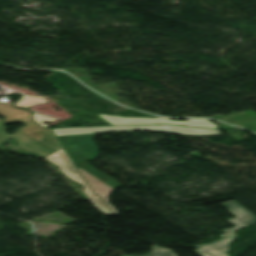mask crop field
<instances>
[{
  "label": "crop field",
  "instance_id": "8a807250",
  "mask_svg": "<svg viewBox=\"0 0 256 256\" xmlns=\"http://www.w3.org/2000/svg\"><path fill=\"white\" fill-rule=\"evenodd\" d=\"M130 130L170 131L163 125L52 129L76 167L80 166L114 189L121 185L83 160H94L97 155V146L92 141L96 133Z\"/></svg>",
  "mask_w": 256,
  "mask_h": 256
},
{
  "label": "crop field",
  "instance_id": "ac0d7876",
  "mask_svg": "<svg viewBox=\"0 0 256 256\" xmlns=\"http://www.w3.org/2000/svg\"><path fill=\"white\" fill-rule=\"evenodd\" d=\"M45 158L47 161L58 166V170L62 172L67 178L81 184L84 187L82 192L88 197L89 200L98 198L96 195H92V192L87 187V185L85 184L71 161L68 159L62 148L53 152Z\"/></svg>",
  "mask_w": 256,
  "mask_h": 256
},
{
  "label": "crop field",
  "instance_id": "34b2d1b8",
  "mask_svg": "<svg viewBox=\"0 0 256 256\" xmlns=\"http://www.w3.org/2000/svg\"><path fill=\"white\" fill-rule=\"evenodd\" d=\"M5 124H7L5 121H0V143L6 138L12 137L15 141H17L18 147L25 152H33L42 157H45L49 153L53 152L19 131L15 132L14 134L6 133L4 131V129H6L4 126Z\"/></svg>",
  "mask_w": 256,
  "mask_h": 256
},
{
  "label": "crop field",
  "instance_id": "412701ff",
  "mask_svg": "<svg viewBox=\"0 0 256 256\" xmlns=\"http://www.w3.org/2000/svg\"><path fill=\"white\" fill-rule=\"evenodd\" d=\"M222 206L226 207L231 213H233L237 218L229 219L227 221L235 224V227L226 228L222 230L225 234L233 232L236 229L244 228L247 226L255 225L256 224V217L242 208L234 201L225 202ZM244 218V219H242Z\"/></svg>",
  "mask_w": 256,
  "mask_h": 256
},
{
  "label": "crop field",
  "instance_id": "f4fd0767",
  "mask_svg": "<svg viewBox=\"0 0 256 256\" xmlns=\"http://www.w3.org/2000/svg\"><path fill=\"white\" fill-rule=\"evenodd\" d=\"M24 124V127L18 128L17 130L32 137L33 139L37 140L38 142L42 143L53 151L61 148L56 139L49 131V129H41V127L37 126L32 122H27Z\"/></svg>",
  "mask_w": 256,
  "mask_h": 256
},
{
  "label": "crop field",
  "instance_id": "dd49c442",
  "mask_svg": "<svg viewBox=\"0 0 256 256\" xmlns=\"http://www.w3.org/2000/svg\"><path fill=\"white\" fill-rule=\"evenodd\" d=\"M235 234H227L226 237L216 243L210 245L200 246L198 249L194 250L201 256H228L227 251L230 247L229 243L233 241Z\"/></svg>",
  "mask_w": 256,
  "mask_h": 256
},
{
  "label": "crop field",
  "instance_id": "e52e79f7",
  "mask_svg": "<svg viewBox=\"0 0 256 256\" xmlns=\"http://www.w3.org/2000/svg\"><path fill=\"white\" fill-rule=\"evenodd\" d=\"M78 170L80 171V173L82 174V176L84 177V179L86 180V182L88 183L89 187L92 189L94 194H99V196L107 204V206L112 210V212L114 214H117L116 211L114 210L115 207L110 205L109 201H108V198H109V196L111 195V193L113 192L114 189L109 187L104 182L92 177L91 175H89L87 172H85L80 167H78Z\"/></svg>",
  "mask_w": 256,
  "mask_h": 256
},
{
  "label": "crop field",
  "instance_id": "d8731c3e",
  "mask_svg": "<svg viewBox=\"0 0 256 256\" xmlns=\"http://www.w3.org/2000/svg\"><path fill=\"white\" fill-rule=\"evenodd\" d=\"M10 102L0 101V115L5 117L8 123L31 121V113L22 109L13 107Z\"/></svg>",
  "mask_w": 256,
  "mask_h": 256
},
{
  "label": "crop field",
  "instance_id": "5a996713",
  "mask_svg": "<svg viewBox=\"0 0 256 256\" xmlns=\"http://www.w3.org/2000/svg\"><path fill=\"white\" fill-rule=\"evenodd\" d=\"M99 116L111 124L159 123L154 118H126V117L110 116V115H99Z\"/></svg>",
  "mask_w": 256,
  "mask_h": 256
},
{
  "label": "crop field",
  "instance_id": "3316defc",
  "mask_svg": "<svg viewBox=\"0 0 256 256\" xmlns=\"http://www.w3.org/2000/svg\"><path fill=\"white\" fill-rule=\"evenodd\" d=\"M165 126L168 127L170 130H172L175 134H183V135H219V130L178 127V126H170V125H165Z\"/></svg>",
  "mask_w": 256,
  "mask_h": 256
},
{
  "label": "crop field",
  "instance_id": "28ad6ade",
  "mask_svg": "<svg viewBox=\"0 0 256 256\" xmlns=\"http://www.w3.org/2000/svg\"><path fill=\"white\" fill-rule=\"evenodd\" d=\"M155 119L158 120L160 123L218 128L214 123L206 119H189V121H173L167 118H160V117H156Z\"/></svg>",
  "mask_w": 256,
  "mask_h": 256
},
{
  "label": "crop field",
  "instance_id": "d1516ede",
  "mask_svg": "<svg viewBox=\"0 0 256 256\" xmlns=\"http://www.w3.org/2000/svg\"><path fill=\"white\" fill-rule=\"evenodd\" d=\"M45 102L46 101L42 96L22 95V97L15 105L26 108L30 105L41 104Z\"/></svg>",
  "mask_w": 256,
  "mask_h": 256
},
{
  "label": "crop field",
  "instance_id": "22f410ed",
  "mask_svg": "<svg viewBox=\"0 0 256 256\" xmlns=\"http://www.w3.org/2000/svg\"><path fill=\"white\" fill-rule=\"evenodd\" d=\"M151 248H152L151 253L145 256H175L174 253L167 248L157 247V246H152ZM129 256H138V255H129Z\"/></svg>",
  "mask_w": 256,
  "mask_h": 256
},
{
  "label": "crop field",
  "instance_id": "cbeb9de0",
  "mask_svg": "<svg viewBox=\"0 0 256 256\" xmlns=\"http://www.w3.org/2000/svg\"><path fill=\"white\" fill-rule=\"evenodd\" d=\"M33 119H34V121H36V122L39 123L40 125L46 126V127H48V126H47V125H44V124L42 123V121H54V120H56V119L53 118V117L46 116V115H42V114H38V113H35V112H34Z\"/></svg>",
  "mask_w": 256,
  "mask_h": 256
},
{
  "label": "crop field",
  "instance_id": "5142ce71",
  "mask_svg": "<svg viewBox=\"0 0 256 256\" xmlns=\"http://www.w3.org/2000/svg\"><path fill=\"white\" fill-rule=\"evenodd\" d=\"M91 203L94 205L95 208H97L99 211H101L103 214H111V212L108 210V208L102 203L100 199L92 200Z\"/></svg>",
  "mask_w": 256,
  "mask_h": 256
}]
</instances>
